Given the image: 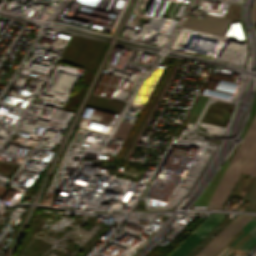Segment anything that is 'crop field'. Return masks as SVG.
<instances>
[{
  "mask_svg": "<svg viewBox=\"0 0 256 256\" xmlns=\"http://www.w3.org/2000/svg\"><path fill=\"white\" fill-rule=\"evenodd\" d=\"M131 126V123L121 121L113 136L125 139Z\"/></svg>",
  "mask_w": 256,
  "mask_h": 256,
  "instance_id": "5a996713",
  "label": "crop field"
},
{
  "mask_svg": "<svg viewBox=\"0 0 256 256\" xmlns=\"http://www.w3.org/2000/svg\"><path fill=\"white\" fill-rule=\"evenodd\" d=\"M227 214H211L168 256H185L203 237H205Z\"/></svg>",
  "mask_w": 256,
  "mask_h": 256,
  "instance_id": "ac0d7876",
  "label": "crop field"
},
{
  "mask_svg": "<svg viewBox=\"0 0 256 256\" xmlns=\"http://www.w3.org/2000/svg\"><path fill=\"white\" fill-rule=\"evenodd\" d=\"M216 256H241V255L224 247Z\"/></svg>",
  "mask_w": 256,
  "mask_h": 256,
  "instance_id": "28ad6ade",
  "label": "crop field"
},
{
  "mask_svg": "<svg viewBox=\"0 0 256 256\" xmlns=\"http://www.w3.org/2000/svg\"><path fill=\"white\" fill-rule=\"evenodd\" d=\"M254 147H256V132H255L250 144L248 145L243 157L241 158L237 168L235 169L231 179L229 180L225 190L223 191L215 209H221L222 208L228 194L230 193V191H231L232 187L234 186L235 182L237 181V179H238L243 167L245 166L246 162L248 161V159H249V157L252 153L251 151H253Z\"/></svg>",
  "mask_w": 256,
  "mask_h": 256,
  "instance_id": "f4fd0767",
  "label": "crop field"
},
{
  "mask_svg": "<svg viewBox=\"0 0 256 256\" xmlns=\"http://www.w3.org/2000/svg\"><path fill=\"white\" fill-rule=\"evenodd\" d=\"M246 236H248V237H249V235H248V234H246ZM243 239H245V240H246V239H247V237H245V236H244V237H243ZM239 242H240V243H242V242H244V240H242V239H241ZM236 245H237V246H240V244H239V243H237ZM233 248H234V249H236L237 247H236V246H234Z\"/></svg>",
  "mask_w": 256,
  "mask_h": 256,
  "instance_id": "d1516ede",
  "label": "crop field"
},
{
  "mask_svg": "<svg viewBox=\"0 0 256 256\" xmlns=\"http://www.w3.org/2000/svg\"><path fill=\"white\" fill-rule=\"evenodd\" d=\"M252 218L248 215H236L196 256H214Z\"/></svg>",
  "mask_w": 256,
  "mask_h": 256,
  "instance_id": "8a807250",
  "label": "crop field"
},
{
  "mask_svg": "<svg viewBox=\"0 0 256 256\" xmlns=\"http://www.w3.org/2000/svg\"><path fill=\"white\" fill-rule=\"evenodd\" d=\"M243 172L256 175V148L247 162ZM245 199L252 200L248 209L254 210L256 206V181L252 185Z\"/></svg>",
  "mask_w": 256,
  "mask_h": 256,
  "instance_id": "e52e79f7",
  "label": "crop field"
},
{
  "mask_svg": "<svg viewBox=\"0 0 256 256\" xmlns=\"http://www.w3.org/2000/svg\"><path fill=\"white\" fill-rule=\"evenodd\" d=\"M254 6H256V2L254 3ZM253 14L256 15V9H255V8H254V10H253Z\"/></svg>",
  "mask_w": 256,
  "mask_h": 256,
  "instance_id": "22f410ed",
  "label": "crop field"
},
{
  "mask_svg": "<svg viewBox=\"0 0 256 256\" xmlns=\"http://www.w3.org/2000/svg\"><path fill=\"white\" fill-rule=\"evenodd\" d=\"M180 61H181V59L178 61V63H177V65H176V67H175V69H174V71H173V73H172V75H171V77H170V79H169V81H168V83H167V85H166V87H165V89H164V91H163L162 95L160 96V98H159V100H158L157 104L155 105V107H154V109H153L152 113L150 114L149 118L147 119V121H146V123H145L144 127L142 128V130H141V132H140V134L142 133L143 129L146 127V125H147V123H148L149 119L151 118V116H152V114H153V112H154V110H155L156 106L158 105L159 101L161 100L162 96L164 95V93H165V91H166V89H167V87H168V85H169L170 81L172 80V78H173L174 74H175V73H176V71H177V68H178V66H179V64H180ZM140 134L138 135V137H137V139H136L135 143L133 144V146H132L131 150L129 151V153H128L127 157H126V160L128 159L129 154H130V153H131V151L133 150V148H134V146H135V144H136V142H137V140H138V138H139ZM141 135H142V134H141ZM140 137H141V136H140Z\"/></svg>",
  "mask_w": 256,
  "mask_h": 256,
  "instance_id": "3316defc",
  "label": "crop field"
},
{
  "mask_svg": "<svg viewBox=\"0 0 256 256\" xmlns=\"http://www.w3.org/2000/svg\"><path fill=\"white\" fill-rule=\"evenodd\" d=\"M231 19L206 14L203 20L188 16L185 27L223 36Z\"/></svg>",
  "mask_w": 256,
  "mask_h": 256,
  "instance_id": "412701ff",
  "label": "crop field"
},
{
  "mask_svg": "<svg viewBox=\"0 0 256 256\" xmlns=\"http://www.w3.org/2000/svg\"><path fill=\"white\" fill-rule=\"evenodd\" d=\"M242 231L251 234V236L244 242V244L238 249V251L244 253L255 241H256V219H252L243 229ZM255 234V235H254ZM245 233L239 232L235 238H233L227 246L233 247L243 236ZM254 235V237H252ZM256 244V242L245 252V254Z\"/></svg>",
  "mask_w": 256,
  "mask_h": 256,
  "instance_id": "dd49c442",
  "label": "crop field"
},
{
  "mask_svg": "<svg viewBox=\"0 0 256 256\" xmlns=\"http://www.w3.org/2000/svg\"><path fill=\"white\" fill-rule=\"evenodd\" d=\"M222 227L216 226L204 239H202L186 256L197 254L220 230Z\"/></svg>",
  "mask_w": 256,
  "mask_h": 256,
  "instance_id": "d8731c3e",
  "label": "crop field"
},
{
  "mask_svg": "<svg viewBox=\"0 0 256 256\" xmlns=\"http://www.w3.org/2000/svg\"><path fill=\"white\" fill-rule=\"evenodd\" d=\"M256 131V116L254 117L244 139L243 142L240 144V146L238 147V149L236 150L232 160L230 161L227 169L225 170L221 180L219 181L208 205L206 208H211L213 209L216 202L218 201L222 191L224 190L228 180L230 179L234 169L236 168L240 158L242 157L247 145L249 144L254 132Z\"/></svg>",
  "mask_w": 256,
  "mask_h": 256,
  "instance_id": "34b2d1b8",
  "label": "crop field"
}]
</instances>
